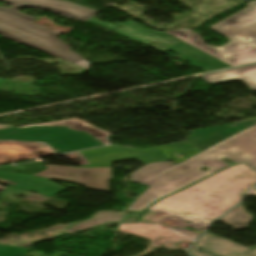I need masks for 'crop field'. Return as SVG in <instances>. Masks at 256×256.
<instances>
[{
    "instance_id": "214f88e0",
    "label": "crop field",
    "mask_w": 256,
    "mask_h": 256,
    "mask_svg": "<svg viewBox=\"0 0 256 256\" xmlns=\"http://www.w3.org/2000/svg\"><path fill=\"white\" fill-rule=\"evenodd\" d=\"M10 127H13V126H11V125H0V129L10 128Z\"/></svg>"
},
{
    "instance_id": "cbeb9de0",
    "label": "crop field",
    "mask_w": 256,
    "mask_h": 256,
    "mask_svg": "<svg viewBox=\"0 0 256 256\" xmlns=\"http://www.w3.org/2000/svg\"><path fill=\"white\" fill-rule=\"evenodd\" d=\"M254 216L248 214L242 204L239 205L234 210L230 211L226 215H224L222 218H220V221L225 222L229 226L239 230V229H245L251 222L252 218Z\"/></svg>"
},
{
    "instance_id": "733c2abd",
    "label": "crop field",
    "mask_w": 256,
    "mask_h": 256,
    "mask_svg": "<svg viewBox=\"0 0 256 256\" xmlns=\"http://www.w3.org/2000/svg\"><path fill=\"white\" fill-rule=\"evenodd\" d=\"M28 251L29 249L25 247L0 245V256H17V255L25 254Z\"/></svg>"
},
{
    "instance_id": "d1516ede",
    "label": "crop field",
    "mask_w": 256,
    "mask_h": 256,
    "mask_svg": "<svg viewBox=\"0 0 256 256\" xmlns=\"http://www.w3.org/2000/svg\"><path fill=\"white\" fill-rule=\"evenodd\" d=\"M203 80L209 83L228 81V80H243L251 88L256 90V65L236 68L232 70L217 72L202 76Z\"/></svg>"
},
{
    "instance_id": "92a150f3",
    "label": "crop field",
    "mask_w": 256,
    "mask_h": 256,
    "mask_svg": "<svg viewBox=\"0 0 256 256\" xmlns=\"http://www.w3.org/2000/svg\"><path fill=\"white\" fill-rule=\"evenodd\" d=\"M175 244H172V243H165V247H174Z\"/></svg>"
},
{
    "instance_id": "5142ce71",
    "label": "crop field",
    "mask_w": 256,
    "mask_h": 256,
    "mask_svg": "<svg viewBox=\"0 0 256 256\" xmlns=\"http://www.w3.org/2000/svg\"><path fill=\"white\" fill-rule=\"evenodd\" d=\"M41 125L68 126L69 128L74 129V130H83V131H86V132L90 133L91 135L95 136L100 141H102L104 144H106V145L108 144L106 136L109 134L96 129V128L84 123L83 121H81L79 119L55 122V123H48V124H41Z\"/></svg>"
},
{
    "instance_id": "8a807250",
    "label": "crop field",
    "mask_w": 256,
    "mask_h": 256,
    "mask_svg": "<svg viewBox=\"0 0 256 256\" xmlns=\"http://www.w3.org/2000/svg\"><path fill=\"white\" fill-rule=\"evenodd\" d=\"M223 157L256 170V124L176 166L154 162L131 173L130 181L150 187L127 210L140 212L155 200L230 166L220 160ZM203 166L209 170H198Z\"/></svg>"
},
{
    "instance_id": "5a996713",
    "label": "crop field",
    "mask_w": 256,
    "mask_h": 256,
    "mask_svg": "<svg viewBox=\"0 0 256 256\" xmlns=\"http://www.w3.org/2000/svg\"><path fill=\"white\" fill-rule=\"evenodd\" d=\"M189 253L192 256H256V249H247L204 232Z\"/></svg>"
},
{
    "instance_id": "3316defc",
    "label": "crop field",
    "mask_w": 256,
    "mask_h": 256,
    "mask_svg": "<svg viewBox=\"0 0 256 256\" xmlns=\"http://www.w3.org/2000/svg\"><path fill=\"white\" fill-rule=\"evenodd\" d=\"M56 155L45 143L0 141V164Z\"/></svg>"
},
{
    "instance_id": "34b2d1b8",
    "label": "crop field",
    "mask_w": 256,
    "mask_h": 256,
    "mask_svg": "<svg viewBox=\"0 0 256 256\" xmlns=\"http://www.w3.org/2000/svg\"><path fill=\"white\" fill-rule=\"evenodd\" d=\"M255 184L256 172L241 164L161 199L152 207L210 225L238 204L243 192Z\"/></svg>"
},
{
    "instance_id": "f4fd0767",
    "label": "crop field",
    "mask_w": 256,
    "mask_h": 256,
    "mask_svg": "<svg viewBox=\"0 0 256 256\" xmlns=\"http://www.w3.org/2000/svg\"><path fill=\"white\" fill-rule=\"evenodd\" d=\"M0 34L7 39L23 43L55 57L70 61L85 70L89 69V62L75 52L69 51V46L55 38L59 34L8 16L2 12H0Z\"/></svg>"
},
{
    "instance_id": "dafd665d",
    "label": "crop field",
    "mask_w": 256,
    "mask_h": 256,
    "mask_svg": "<svg viewBox=\"0 0 256 256\" xmlns=\"http://www.w3.org/2000/svg\"><path fill=\"white\" fill-rule=\"evenodd\" d=\"M154 246H155V247H158V245H155V244H154Z\"/></svg>"
},
{
    "instance_id": "ac0d7876",
    "label": "crop field",
    "mask_w": 256,
    "mask_h": 256,
    "mask_svg": "<svg viewBox=\"0 0 256 256\" xmlns=\"http://www.w3.org/2000/svg\"><path fill=\"white\" fill-rule=\"evenodd\" d=\"M230 125L192 131L187 141L167 145L189 142L196 146L207 149L212 145L232 136L236 132L245 129L240 124L234 127H231ZM63 156L66 158L76 157L85 164L81 165L80 168L46 165L47 169L35 174V176L83 185L86 186V189L108 191V180L112 179V162L130 158H135L137 160L140 158L138 161L145 164L154 161L167 160L151 148L137 150L119 145L63 154ZM124 156H126V158H124ZM84 182L86 183L84 184Z\"/></svg>"
},
{
    "instance_id": "d8731c3e",
    "label": "crop field",
    "mask_w": 256,
    "mask_h": 256,
    "mask_svg": "<svg viewBox=\"0 0 256 256\" xmlns=\"http://www.w3.org/2000/svg\"><path fill=\"white\" fill-rule=\"evenodd\" d=\"M119 233H130L135 236L144 237L150 239V245L146 249L145 252L137 255L142 256L154 249L152 247L154 243L159 244L161 248H164L163 245L165 241L176 243L175 248H164L168 250H174L178 247L179 241H192L195 239H191L187 236L181 235L179 233L173 232L164 228L159 224H149V223H139V224H121L118 228Z\"/></svg>"
},
{
    "instance_id": "e52e79f7",
    "label": "crop field",
    "mask_w": 256,
    "mask_h": 256,
    "mask_svg": "<svg viewBox=\"0 0 256 256\" xmlns=\"http://www.w3.org/2000/svg\"><path fill=\"white\" fill-rule=\"evenodd\" d=\"M9 3L11 7H0V11L11 16L23 19L30 23L36 21L35 18L18 12L24 8H42L78 21H86L96 15L98 11L87 9L76 4L61 0H1Z\"/></svg>"
},
{
    "instance_id": "28ad6ade",
    "label": "crop field",
    "mask_w": 256,
    "mask_h": 256,
    "mask_svg": "<svg viewBox=\"0 0 256 256\" xmlns=\"http://www.w3.org/2000/svg\"><path fill=\"white\" fill-rule=\"evenodd\" d=\"M0 182L50 197L66 189L60 185L50 182L48 179L12 172L0 171Z\"/></svg>"
},
{
    "instance_id": "d9b57169",
    "label": "crop field",
    "mask_w": 256,
    "mask_h": 256,
    "mask_svg": "<svg viewBox=\"0 0 256 256\" xmlns=\"http://www.w3.org/2000/svg\"><path fill=\"white\" fill-rule=\"evenodd\" d=\"M163 225L164 227L174 230L176 232L182 233L184 235H187L191 238H197L199 234L202 232V230H199L193 226H190L188 224H184L181 222H178L176 220H173L171 218L159 223Z\"/></svg>"
},
{
    "instance_id": "dd49c442",
    "label": "crop field",
    "mask_w": 256,
    "mask_h": 256,
    "mask_svg": "<svg viewBox=\"0 0 256 256\" xmlns=\"http://www.w3.org/2000/svg\"><path fill=\"white\" fill-rule=\"evenodd\" d=\"M0 140L45 142L57 153L104 145L86 132L55 126H27L0 130Z\"/></svg>"
},
{
    "instance_id": "bc2a9ffb",
    "label": "crop field",
    "mask_w": 256,
    "mask_h": 256,
    "mask_svg": "<svg viewBox=\"0 0 256 256\" xmlns=\"http://www.w3.org/2000/svg\"><path fill=\"white\" fill-rule=\"evenodd\" d=\"M256 122V120H252V121H248V122H242V123H240L241 125H243V126H248V125H250V124H253V123H255Z\"/></svg>"
},
{
    "instance_id": "412701ff",
    "label": "crop field",
    "mask_w": 256,
    "mask_h": 256,
    "mask_svg": "<svg viewBox=\"0 0 256 256\" xmlns=\"http://www.w3.org/2000/svg\"><path fill=\"white\" fill-rule=\"evenodd\" d=\"M211 29L229 38L230 42L213 48L206 46L200 35L188 29L166 33L231 66L256 62V1L249 2L246 10Z\"/></svg>"
},
{
    "instance_id": "4a817a6b",
    "label": "crop field",
    "mask_w": 256,
    "mask_h": 256,
    "mask_svg": "<svg viewBox=\"0 0 256 256\" xmlns=\"http://www.w3.org/2000/svg\"><path fill=\"white\" fill-rule=\"evenodd\" d=\"M149 209L155 210V211H156L158 214H160V215L168 216V217H171V218H173V219L179 220V221H181V222L188 223V224H190V225H196V226H198V228H200V229H201V226H206V225L201 224V223H199V222H196V221H194V220L187 219V218H183V217H179V216L172 215V214H167V213H165V212H163V211H160V210L155 209V208H152V207H150Z\"/></svg>"
},
{
    "instance_id": "22f410ed",
    "label": "crop field",
    "mask_w": 256,
    "mask_h": 256,
    "mask_svg": "<svg viewBox=\"0 0 256 256\" xmlns=\"http://www.w3.org/2000/svg\"><path fill=\"white\" fill-rule=\"evenodd\" d=\"M98 215H100V217H97ZM122 216H123V212L99 211L92 216L94 217V219H92L91 217L88 221L72 227L67 231V233H73L77 230L89 229L91 227H94L103 223L111 222V221H119Z\"/></svg>"
}]
</instances>
